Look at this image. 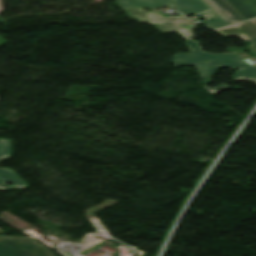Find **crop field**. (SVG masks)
I'll return each instance as SVG.
<instances>
[{
  "instance_id": "8a807250",
  "label": "crop field",
  "mask_w": 256,
  "mask_h": 256,
  "mask_svg": "<svg viewBox=\"0 0 256 256\" xmlns=\"http://www.w3.org/2000/svg\"><path fill=\"white\" fill-rule=\"evenodd\" d=\"M185 43L192 49V52L190 54H176L174 57V65H197L206 90L210 93L214 94L229 87V85L225 83L214 89L207 87V84L212 82V77L216 74L219 67L240 69L234 72L232 80L252 81L256 83V66H251L240 56L207 53L201 49L199 42L195 40L186 41ZM206 60L210 61V63H205L204 61ZM217 88H222V90H218ZM236 89H240V87H236Z\"/></svg>"
},
{
  "instance_id": "ac0d7876",
  "label": "crop field",
  "mask_w": 256,
  "mask_h": 256,
  "mask_svg": "<svg viewBox=\"0 0 256 256\" xmlns=\"http://www.w3.org/2000/svg\"><path fill=\"white\" fill-rule=\"evenodd\" d=\"M129 17L140 22H150L161 32H178L187 39L193 38L192 29L196 23L192 21H167L155 11H144L143 9L125 10Z\"/></svg>"
},
{
  "instance_id": "34b2d1b8",
  "label": "crop field",
  "mask_w": 256,
  "mask_h": 256,
  "mask_svg": "<svg viewBox=\"0 0 256 256\" xmlns=\"http://www.w3.org/2000/svg\"><path fill=\"white\" fill-rule=\"evenodd\" d=\"M0 256H52L31 237H0Z\"/></svg>"
},
{
  "instance_id": "412701ff",
  "label": "crop field",
  "mask_w": 256,
  "mask_h": 256,
  "mask_svg": "<svg viewBox=\"0 0 256 256\" xmlns=\"http://www.w3.org/2000/svg\"><path fill=\"white\" fill-rule=\"evenodd\" d=\"M11 157V141L0 139V159ZM6 182H13L15 186H7ZM28 185L13 171L0 168V190H10L12 188H24Z\"/></svg>"
},
{
  "instance_id": "f4fd0767",
  "label": "crop field",
  "mask_w": 256,
  "mask_h": 256,
  "mask_svg": "<svg viewBox=\"0 0 256 256\" xmlns=\"http://www.w3.org/2000/svg\"><path fill=\"white\" fill-rule=\"evenodd\" d=\"M228 24L244 21L241 15L226 0H203Z\"/></svg>"
},
{
  "instance_id": "dd49c442",
  "label": "crop field",
  "mask_w": 256,
  "mask_h": 256,
  "mask_svg": "<svg viewBox=\"0 0 256 256\" xmlns=\"http://www.w3.org/2000/svg\"><path fill=\"white\" fill-rule=\"evenodd\" d=\"M216 31L225 36H239L244 40L254 42V44L249 45L248 48L256 53V28H254L249 23L245 22L242 24L222 28Z\"/></svg>"
},
{
  "instance_id": "e52e79f7",
  "label": "crop field",
  "mask_w": 256,
  "mask_h": 256,
  "mask_svg": "<svg viewBox=\"0 0 256 256\" xmlns=\"http://www.w3.org/2000/svg\"><path fill=\"white\" fill-rule=\"evenodd\" d=\"M170 8H176L184 15L209 10L210 8L202 0H156Z\"/></svg>"
},
{
  "instance_id": "d8731c3e",
  "label": "crop field",
  "mask_w": 256,
  "mask_h": 256,
  "mask_svg": "<svg viewBox=\"0 0 256 256\" xmlns=\"http://www.w3.org/2000/svg\"><path fill=\"white\" fill-rule=\"evenodd\" d=\"M246 19L256 17V0H229Z\"/></svg>"
},
{
  "instance_id": "5a996713",
  "label": "crop field",
  "mask_w": 256,
  "mask_h": 256,
  "mask_svg": "<svg viewBox=\"0 0 256 256\" xmlns=\"http://www.w3.org/2000/svg\"><path fill=\"white\" fill-rule=\"evenodd\" d=\"M117 3L122 8H135V7H144V8H157L165 7L153 0H117Z\"/></svg>"
},
{
  "instance_id": "3316defc",
  "label": "crop field",
  "mask_w": 256,
  "mask_h": 256,
  "mask_svg": "<svg viewBox=\"0 0 256 256\" xmlns=\"http://www.w3.org/2000/svg\"><path fill=\"white\" fill-rule=\"evenodd\" d=\"M196 15H202L206 17L205 25L211 27L213 29H217L220 27L228 26L226 22H224L217 14H215L212 10L197 13Z\"/></svg>"
},
{
  "instance_id": "28ad6ade",
  "label": "crop field",
  "mask_w": 256,
  "mask_h": 256,
  "mask_svg": "<svg viewBox=\"0 0 256 256\" xmlns=\"http://www.w3.org/2000/svg\"><path fill=\"white\" fill-rule=\"evenodd\" d=\"M160 14V11H156ZM161 15V14H160ZM167 20H189L188 18L184 17V16H176V17H164Z\"/></svg>"
},
{
  "instance_id": "d1516ede",
  "label": "crop field",
  "mask_w": 256,
  "mask_h": 256,
  "mask_svg": "<svg viewBox=\"0 0 256 256\" xmlns=\"http://www.w3.org/2000/svg\"><path fill=\"white\" fill-rule=\"evenodd\" d=\"M3 11L2 0H0V13Z\"/></svg>"
},
{
  "instance_id": "22f410ed",
  "label": "crop field",
  "mask_w": 256,
  "mask_h": 256,
  "mask_svg": "<svg viewBox=\"0 0 256 256\" xmlns=\"http://www.w3.org/2000/svg\"><path fill=\"white\" fill-rule=\"evenodd\" d=\"M251 22L256 25V20H252ZM251 22H250V23H251ZM255 25H254V26H255Z\"/></svg>"
}]
</instances>
